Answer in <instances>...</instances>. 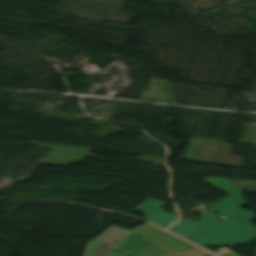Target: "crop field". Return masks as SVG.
Wrapping results in <instances>:
<instances>
[{
  "mask_svg": "<svg viewBox=\"0 0 256 256\" xmlns=\"http://www.w3.org/2000/svg\"><path fill=\"white\" fill-rule=\"evenodd\" d=\"M204 181L229 194L212 208V211L228 218L216 222L214 220L216 214L211 212L201 214V225L186 238L203 246L244 244L255 238L256 228L250 223L255 216L240 208L246 205L245 198L241 195L242 189L223 178H207Z\"/></svg>",
  "mask_w": 256,
  "mask_h": 256,
  "instance_id": "8a807250",
  "label": "crop field"
},
{
  "mask_svg": "<svg viewBox=\"0 0 256 256\" xmlns=\"http://www.w3.org/2000/svg\"><path fill=\"white\" fill-rule=\"evenodd\" d=\"M219 142L192 138L181 160L210 163Z\"/></svg>",
  "mask_w": 256,
  "mask_h": 256,
  "instance_id": "ac0d7876",
  "label": "crop field"
},
{
  "mask_svg": "<svg viewBox=\"0 0 256 256\" xmlns=\"http://www.w3.org/2000/svg\"><path fill=\"white\" fill-rule=\"evenodd\" d=\"M125 232L127 231L111 226L95 241L86 246L83 256H108L112 248L116 247L110 244Z\"/></svg>",
  "mask_w": 256,
  "mask_h": 256,
  "instance_id": "34b2d1b8",
  "label": "crop field"
},
{
  "mask_svg": "<svg viewBox=\"0 0 256 256\" xmlns=\"http://www.w3.org/2000/svg\"><path fill=\"white\" fill-rule=\"evenodd\" d=\"M166 203L149 199L135 210L142 211L146 214L149 220L166 228L173 223L178 217L171 215L161 210Z\"/></svg>",
  "mask_w": 256,
  "mask_h": 256,
  "instance_id": "412701ff",
  "label": "crop field"
},
{
  "mask_svg": "<svg viewBox=\"0 0 256 256\" xmlns=\"http://www.w3.org/2000/svg\"><path fill=\"white\" fill-rule=\"evenodd\" d=\"M234 148L227 142H222L212 163L243 168L246 159L232 153Z\"/></svg>",
  "mask_w": 256,
  "mask_h": 256,
  "instance_id": "f4fd0767",
  "label": "crop field"
},
{
  "mask_svg": "<svg viewBox=\"0 0 256 256\" xmlns=\"http://www.w3.org/2000/svg\"><path fill=\"white\" fill-rule=\"evenodd\" d=\"M199 225L200 223L197 222H192L186 219H180L179 222H177L169 229L183 237H186Z\"/></svg>",
  "mask_w": 256,
  "mask_h": 256,
  "instance_id": "dd49c442",
  "label": "crop field"
},
{
  "mask_svg": "<svg viewBox=\"0 0 256 256\" xmlns=\"http://www.w3.org/2000/svg\"><path fill=\"white\" fill-rule=\"evenodd\" d=\"M244 189H256V182L232 180Z\"/></svg>",
  "mask_w": 256,
  "mask_h": 256,
  "instance_id": "e52e79f7",
  "label": "crop field"
},
{
  "mask_svg": "<svg viewBox=\"0 0 256 256\" xmlns=\"http://www.w3.org/2000/svg\"><path fill=\"white\" fill-rule=\"evenodd\" d=\"M187 256H213V255L203 251L202 249H198Z\"/></svg>",
  "mask_w": 256,
  "mask_h": 256,
  "instance_id": "d8731c3e",
  "label": "crop field"
},
{
  "mask_svg": "<svg viewBox=\"0 0 256 256\" xmlns=\"http://www.w3.org/2000/svg\"><path fill=\"white\" fill-rule=\"evenodd\" d=\"M218 256H236L235 254H233L232 252H230L229 250H227L226 248L225 249H222L221 251H219L217 253Z\"/></svg>",
  "mask_w": 256,
  "mask_h": 256,
  "instance_id": "5a996713",
  "label": "crop field"
},
{
  "mask_svg": "<svg viewBox=\"0 0 256 256\" xmlns=\"http://www.w3.org/2000/svg\"><path fill=\"white\" fill-rule=\"evenodd\" d=\"M110 256H125V255H123V254H121V253H119L117 251L112 250Z\"/></svg>",
  "mask_w": 256,
  "mask_h": 256,
  "instance_id": "3316defc",
  "label": "crop field"
},
{
  "mask_svg": "<svg viewBox=\"0 0 256 256\" xmlns=\"http://www.w3.org/2000/svg\"><path fill=\"white\" fill-rule=\"evenodd\" d=\"M182 254H184L183 252H175L173 255H171V256H180V255H182Z\"/></svg>",
  "mask_w": 256,
  "mask_h": 256,
  "instance_id": "28ad6ade",
  "label": "crop field"
}]
</instances>
